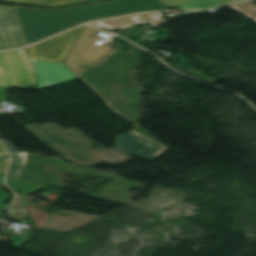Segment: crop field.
Returning a JSON list of instances; mask_svg holds the SVG:
<instances>
[{
    "instance_id": "crop-field-14",
    "label": "crop field",
    "mask_w": 256,
    "mask_h": 256,
    "mask_svg": "<svg viewBox=\"0 0 256 256\" xmlns=\"http://www.w3.org/2000/svg\"><path fill=\"white\" fill-rule=\"evenodd\" d=\"M229 8L247 16L248 18L256 22V5L252 2H244L241 4L229 6Z\"/></svg>"
},
{
    "instance_id": "crop-field-16",
    "label": "crop field",
    "mask_w": 256,
    "mask_h": 256,
    "mask_svg": "<svg viewBox=\"0 0 256 256\" xmlns=\"http://www.w3.org/2000/svg\"><path fill=\"white\" fill-rule=\"evenodd\" d=\"M31 237H32L31 233H27V234L18 235V236H10V240L12 241L14 247H19Z\"/></svg>"
},
{
    "instance_id": "crop-field-9",
    "label": "crop field",
    "mask_w": 256,
    "mask_h": 256,
    "mask_svg": "<svg viewBox=\"0 0 256 256\" xmlns=\"http://www.w3.org/2000/svg\"><path fill=\"white\" fill-rule=\"evenodd\" d=\"M171 7L186 9V10H199L217 7L220 5L240 1V0H161Z\"/></svg>"
},
{
    "instance_id": "crop-field-12",
    "label": "crop field",
    "mask_w": 256,
    "mask_h": 256,
    "mask_svg": "<svg viewBox=\"0 0 256 256\" xmlns=\"http://www.w3.org/2000/svg\"><path fill=\"white\" fill-rule=\"evenodd\" d=\"M4 143L13 157L8 175L20 178L23 170L22 159L15 157L20 155V152L18 149L12 147L9 141H4Z\"/></svg>"
},
{
    "instance_id": "crop-field-22",
    "label": "crop field",
    "mask_w": 256,
    "mask_h": 256,
    "mask_svg": "<svg viewBox=\"0 0 256 256\" xmlns=\"http://www.w3.org/2000/svg\"><path fill=\"white\" fill-rule=\"evenodd\" d=\"M8 208H9V205L0 203V210L7 211Z\"/></svg>"
},
{
    "instance_id": "crop-field-7",
    "label": "crop field",
    "mask_w": 256,
    "mask_h": 256,
    "mask_svg": "<svg viewBox=\"0 0 256 256\" xmlns=\"http://www.w3.org/2000/svg\"><path fill=\"white\" fill-rule=\"evenodd\" d=\"M30 59L36 71L38 89L70 82L77 78L63 61L50 64Z\"/></svg>"
},
{
    "instance_id": "crop-field-21",
    "label": "crop field",
    "mask_w": 256,
    "mask_h": 256,
    "mask_svg": "<svg viewBox=\"0 0 256 256\" xmlns=\"http://www.w3.org/2000/svg\"><path fill=\"white\" fill-rule=\"evenodd\" d=\"M4 156H7L1 142H0V157H4Z\"/></svg>"
},
{
    "instance_id": "crop-field-15",
    "label": "crop field",
    "mask_w": 256,
    "mask_h": 256,
    "mask_svg": "<svg viewBox=\"0 0 256 256\" xmlns=\"http://www.w3.org/2000/svg\"><path fill=\"white\" fill-rule=\"evenodd\" d=\"M140 16L145 23H150L154 27L163 26V24L167 22L162 13H148L141 14Z\"/></svg>"
},
{
    "instance_id": "crop-field-4",
    "label": "crop field",
    "mask_w": 256,
    "mask_h": 256,
    "mask_svg": "<svg viewBox=\"0 0 256 256\" xmlns=\"http://www.w3.org/2000/svg\"><path fill=\"white\" fill-rule=\"evenodd\" d=\"M94 34L82 31L78 40L67 54L64 63L77 75L81 73V66L84 64L95 63L102 59L103 55L116 49L109 45L100 47L95 42L100 38L92 37Z\"/></svg>"
},
{
    "instance_id": "crop-field-20",
    "label": "crop field",
    "mask_w": 256,
    "mask_h": 256,
    "mask_svg": "<svg viewBox=\"0 0 256 256\" xmlns=\"http://www.w3.org/2000/svg\"><path fill=\"white\" fill-rule=\"evenodd\" d=\"M84 31L97 34V33H99L101 30H98V29H95V28H92V27H89V26H85V27H84Z\"/></svg>"
},
{
    "instance_id": "crop-field-1",
    "label": "crop field",
    "mask_w": 256,
    "mask_h": 256,
    "mask_svg": "<svg viewBox=\"0 0 256 256\" xmlns=\"http://www.w3.org/2000/svg\"><path fill=\"white\" fill-rule=\"evenodd\" d=\"M13 7L27 45L85 22L142 11L168 10L171 8L160 0H113L60 10Z\"/></svg>"
},
{
    "instance_id": "crop-field-19",
    "label": "crop field",
    "mask_w": 256,
    "mask_h": 256,
    "mask_svg": "<svg viewBox=\"0 0 256 256\" xmlns=\"http://www.w3.org/2000/svg\"><path fill=\"white\" fill-rule=\"evenodd\" d=\"M9 158L0 159V173H6Z\"/></svg>"
},
{
    "instance_id": "crop-field-5",
    "label": "crop field",
    "mask_w": 256,
    "mask_h": 256,
    "mask_svg": "<svg viewBox=\"0 0 256 256\" xmlns=\"http://www.w3.org/2000/svg\"><path fill=\"white\" fill-rule=\"evenodd\" d=\"M83 27L76 28L29 47L28 49L31 57L50 63L64 60L66 54L75 43Z\"/></svg>"
},
{
    "instance_id": "crop-field-13",
    "label": "crop field",
    "mask_w": 256,
    "mask_h": 256,
    "mask_svg": "<svg viewBox=\"0 0 256 256\" xmlns=\"http://www.w3.org/2000/svg\"><path fill=\"white\" fill-rule=\"evenodd\" d=\"M15 2L31 3L38 6H63L92 0H8Z\"/></svg>"
},
{
    "instance_id": "crop-field-24",
    "label": "crop field",
    "mask_w": 256,
    "mask_h": 256,
    "mask_svg": "<svg viewBox=\"0 0 256 256\" xmlns=\"http://www.w3.org/2000/svg\"><path fill=\"white\" fill-rule=\"evenodd\" d=\"M26 156H27L26 152H22V155L18 156V157L24 158V160H23L24 165H25V161H26Z\"/></svg>"
},
{
    "instance_id": "crop-field-11",
    "label": "crop field",
    "mask_w": 256,
    "mask_h": 256,
    "mask_svg": "<svg viewBox=\"0 0 256 256\" xmlns=\"http://www.w3.org/2000/svg\"><path fill=\"white\" fill-rule=\"evenodd\" d=\"M92 24L111 30V31H115V30L131 27L134 25H140V24H143V22L139 20L137 15H134V16L124 17L119 19L96 22Z\"/></svg>"
},
{
    "instance_id": "crop-field-10",
    "label": "crop field",
    "mask_w": 256,
    "mask_h": 256,
    "mask_svg": "<svg viewBox=\"0 0 256 256\" xmlns=\"http://www.w3.org/2000/svg\"><path fill=\"white\" fill-rule=\"evenodd\" d=\"M6 183L14 191L25 195H30L31 193H38L39 190H45L46 188H48L47 185L23 179H17L9 176H6Z\"/></svg>"
},
{
    "instance_id": "crop-field-18",
    "label": "crop field",
    "mask_w": 256,
    "mask_h": 256,
    "mask_svg": "<svg viewBox=\"0 0 256 256\" xmlns=\"http://www.w3.org/2000/svg\"><path fill=\"white\" fill-rule=\"evenodd\" d=\"M3 177H4V174H0V202L5 203L8 200H10V195L8 193L2 192V186H3L2 179H3Z\"/></svg>"
},
{
    "instance_id": "crop-field-23",
    "label": "crop field",
    "mask_w": 256,
    "mask_h": 256,
    "mask_svg": "<svg viewBox=\"0 0 256 256\" xmlns=\"http://www.w3.org/2000/svg\"><path fill=\"white\" fill-rule=\"evenodd\" d=\"M110 54H111V53L106 54V55L104 56V58H105L106 56L110 55ZM96 64H97V63H96ZM93 65H95V64L84 65V66L81 67V68H82V70H85L86 68H89V67H91V66H93Z\"/></svg>"
},
{
    "instance_id": "crop-field-2",
    "label": "crop field",
    "mask_w": 256,
    "mask_h": 256,
    "mask_svg": "<svg viewBox=\"0 0 256 256\" xmlns=\"http://www.w3.org/2000/svg\"><path fill=\"white\" fill-rule=\"evenodd\" d=\"M52 151L76 166H91L106 162L115 165L132 159L116 148L105 150L75 128L64 130L55 123L24 125ZM93 146L97 148H93Z\"/></svg>"
},
{
    "instance_id": "crop-field-3",
    "label": "crop field",
    "mask_w": 256,
    "mask_h": 256,
    "mask_svg": "<svg viewBox=\"0 0 256 256\" xmlns=\"http://www.w3.org/2000/svg\"><path fill=\"white\" fill-rule=\"evenodd\" d=\"M35 71L25 49L0 53V101H6L7 89L29 88L36 83Z\"/></svg>"
},
{
    "instance_id": "crop-field-17",
    "label": "crop field",
    "mask_w": 256,
    "mask_h": 256,
    "mask_svg": "<svg viewBox=\"0 0 256 256\" xmlns=\"http://www.w3.org/2000/svg\"><path fill=\"white\" fill-rule=\"evenodd\" d=\"M9 216L14 220H19V219H23L26 218V211L24 209L21 208H17L15 206H13L10 210Z\"/></svg>"
},
{
    "instance_id": "crop-field-6",
    "label": "crop field",
    "mask_w": 256,
    "mask_h": 256,
    "mask_svg": "<svg viewBox=\"0 0 256 256\" xmlns=\"http://www.w3.org/2000/svg\"><path fill=\"white\" fill-rule=\"evenodd\" d=\"M19 23L12 6L0 5V46L10 49L25 46Z\"/></svg>"
},
{
    "instance_id": "crop-field-8",
    "label": "crop field",
    "mask_w": 256,
    "mask_h": 256,
    "mask_svg": "<svg viewBox=\"0 0 256 256\" xmlns=\"http://www.w3.org/2000/svg\"><path fill=\"white\" fill-rule=\"evenodd\" d=\"M115 147L133 157L148 160L164 146L157 145L134 132H129L116 139Z\"/></svg>"
}]
</instances>
